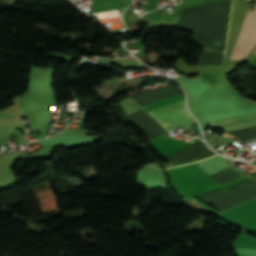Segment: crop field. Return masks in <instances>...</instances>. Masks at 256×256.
<instances>
[{"label": "crop field", "mask_w": 256, "mask_h": 256, "mask_svg": "<svg viewBox=\"0 0 256 256\" xmlns=\"http://www.w3.org/2000/svg\"><path fill=\"white\" fill-rule=\"evenodd\" d=\"M255 46L256 11H249L245 13L229 59L237 60L247 56L251 54Z\"/></svg>", "instance_id": "crop-field-1"}, {"label": "crop field", "mask_w": 256, "mask_h": 256, "mask_svg": "<svg viewBox=\"0 0 256 256\" xmlns=\"http://www.w3.org/2000/svg\"><path fill=\"white\" fill-rule=\"evenodd\" d=\"M149 113L164 127L192 118L186 110L184 100L149 111Z\"/></svg>", "instance_id": "crop-field-2"}, {"label": "crop field", "mask_w": 256, "mask_h": 256, "mask_svg": "<svg viewBox=\"0 0 256 256\" xmlns=\"http://www.w3.org/2000/svg\"><path fill=\"white\" fill-rule=\"evenodd\" d=\"M254 117H256V112H251V113H246V114H241V115H236V116H231V117H226V118L210 120L208 122L212 123L213 125H216V124H222V123H227V122L244 120V119H249V118H254Z\"/></svg>", "instance_id": "crop-field-3"}]
</instances>
